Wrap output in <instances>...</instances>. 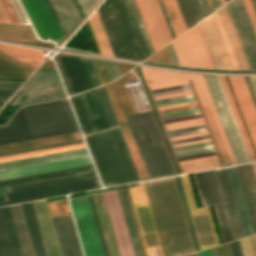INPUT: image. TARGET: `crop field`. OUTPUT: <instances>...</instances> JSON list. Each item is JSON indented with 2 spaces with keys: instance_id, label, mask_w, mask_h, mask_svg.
I'll list each match as a JSON object with an SVG mask.
<instances>
[{
  "instance_id": "obj_1",
  "label": "crop field",
  "mask_w": 256,
  "mask_h": 256,
  "mask_svg": "<svg viewBox=\"0 0 256 256\" xmlns=\"http://www.w3.org/2000/svg\"><path fill=\"white\" fill-rule=\"evenodd\" d=\"M138 69L146 87L191 79L222 163L236 164L202 75ZM191 81L146 88L180 174L223 166Z\"/></svg>"
},
{
  "instance_id": "obj_2",
  "label": "crop field",
  "mask_w": 256,
  "mask_h": 256,
  "mask_svg": "<svg viewBox=\"0 0 256 256\" xmlns=\"http://www.w3.org/2000/svg\"><path fill=\"white\" fill-rule=\"evenodd\" d=\"M166 256H181L193 252L190 235L177 193L174 178L144 182ZM143 182L130 187L129 193L136 218L151 217L152 211ZM147 256H165L154 218L139 219Z\"/></svg>"
},
{
  "instance_id": "obj_3",
  "label": "crop field",
  "mask_w": 256,
  "mask_h": 256,
  "mask_svg": "<svg viewBox=\"0 0 256 256\" xmlns=\"http://www.w3.org/2000/svg\"><path fill=\"white\" fill-rule=\"evenodd\" d=\"M77 131L67 100L26 106L0 126V145Z\"/></svg>"
},
{
  "instance_id": "obj_4",
  "label": "crop field",
  "mask_w": 256,
  "mask_h": 256,
  "mask_svg": "<svg viewBox=\"0 0 256 256\" xmlns=\"http://www.w3.org/2000/svg\"><path fill=\"white\" fill-rule=\"evenodd\" d=\"M86 137L106 187L140 181L119 127Z\"/></svg>"
},
{
  "instance_id": "obj_5",
  "label": "crop field",
  "mask_w": 256,
  "mask_h": 256,
  "mask_svg": "<svg viewBox=\"0 0 256 256\" xmlns=\"http://www.w3.org/2000/svg\"><path fill=\"white\" fill-rule=\"evenodd\" d=\"M125 118L148 178L177 174L153 112H145Z\"/></svg>"
},
{
  "instance_id": "obj_6",
  "label": "crop field",
  "mask_w": 256,
  "mask_h": 256,
  "mask_svg": "<svg viewBox=\"0 0 256 256\" xmlns=\"http://www.w3.org/2000/svg\"><path fill=\"white\" fill-rule=\"evenodd\" d=\"M203 76L205 78L236 163L239 164L250 161L218 77L214 75Z\"/></svg>"
},
{
  "instance_id": "obj_7",
  "label": "crop field",
  "mask_w": 256,
  "mask_h": 256,
  "mask_svg": "<svg viewBox=\"0 0 256 256\" xmlns=\"http://www.w3.org/2000/svg\"><path fill=\"white\" fill-rule=\"evenodd\" d=\"M97 177L3 194L0 206L100 188Z\"/></svg>"
},
{
  "instance_id": "obj_8",
  "label": "crop field",
  "mask_w": 256,
  "mask_h": 256,
  "mask_svg": "<svg viewBox=\"0 0 256 256\" xmlns=\"http://www.w3.org/2000/svg\"><path fill=\"white\" fill-rule=\"evenodd\" d=\"M61 82L56 69L40 71L23 89L21 94L9 105H22L58 98H64Z\"/></svg>"
},
{
  "instance_id": "obj_9",
  "label": "crop field",
  "mask_w": 256,
  "mask_h": 256,
  "mask_svg": "<svg viewBox=\"0 0 256 256\" xmlns=\"http://www.w3.org/2000/svg\"><path fill=\"white\" fill-rule=\"evenodd\" d=\"M69 199L85 256H103L87 196Z\"/></svg>"
},
{
  "instance_id": "obj_10",
  "label": "crop field",
  "mask_w": 256,
  "mask_h": 256,
  "mask_svg": "<svg viewBox=\"0 0 256 256\" xmlns=\"http://www.w3.org/2000/svg\"><path fill=\"white\" fill-rule=\"evenodd\" d=\"M180 177L189 209L197 207L188 176L183 175ZM189 211L197 237L199 249L201 250L218 245L219 243L211 219L209 208H195Z\"/></svg>"
},
{
  "instance_id": "obj_11",
  "label": "crop field",
  "mask_w": 256,
  "mask_h": 256,
  "mask_svg": "<svg viewBox=\"0 0 256 256\" xmlns=\"http://www.w3.org/2000/svg\"><path fill=\"white\" fill-rule=\"evenodd\" d=\"M251 70H256V35L242 0L226 4ZM226 8V9H227Z\"/></svg>"
},
{
  "instance_id": "obj_12",
  "label": "crop field",
  "mask_w": 256,
  "mask_h": 256,
  "mask_svg": "<svg viewBox=\"0 0 256 256\" xmlns=\"http://www.w3.org/2000/svg\"><path fill=\"white\" fill-rule=\"evenodd\" d=\"M181 65L212 68L196 26L172 42Z\"/></svg>"
},
{
  "instance_id": "obj_13",
  "label": "crop field",
  "mask_w": 256,
  "mask_h": 256,
  "mask_svg": "<svg viewBox=\"0 0 256 256\" xmlns=\"http://www.w3.org/2000/svg\"><path fill=\"white\" fill-rule=\"evenodd\" d=\"M37 35L43 40L63 39L43 0H19Z\"/></svg>"
},
{
  "instance_id": "obj_14",
  "label": "crop field",
  "mask_w": 256,
  "mask_h": 256,
  "mask_svg": "<svg viewBox=\"0 0 256 256\" xmlns=\"http://www.w3.org/2000/svg\"><path fill=\"white\" fill-rule=\"evenodd\" d=\"M62 56L76 94L101 85L92 59Z\"/></svg>"
},
{
  "instance_id": "obj_15",
  "label": "crop field",
  "mask_w": 256,
  "mask_h": 256,
  "mask_svg": "<svg viewBox=\"0 0 256 256\" xmlns=\"http://www.w3.org/2000/svg\"><path fill=\"white\" fill-rule=\"evenodd\" d=\"M256 149V111L242 77L227 76Z\"/></svg>"
},
{
  "instance_id": "obj_16",
  "label": "crop field",
  "mask_w": 256,
  "mask_h": 256,
  "mask_svg": "<svg viewBox=\"0 0 256 256\" xmlns=\"http://www.w3.org/2000/svg\"><path fill=\"white\" fill-rule=\"evenodd\" d=\"M51 219L62 256H82L72 217Z\"/></svg>"
},
{
  "instance_id": "obj_17",
  "label": "crop field",
  "mask_w": 256,
  "mask_h": 256,
  "mask_svg": "<svg viewBox=\"0 0 256 256\" xmlns=\"http://www.w3.org/2000/svg\"><path fill=\"white\" fill-rule=\"evenodd\" d=\"M90 157H81L64 161L40 164L35 166L17 168L12 170L0 171V180L22 177L27 175L39 174L44 172L56 171L61 169L73 168L78 166L90 165Z\"/></svg>"
},
{
  "instance_id": "obj_18",
  "label": "crop field",
  "mask_w": 256,
  "mask_h": 256,
  "mask_svg": "<svg viewBox=\"0 0 256 256\" xmlns=\"http://www.w3.org/2000/svg\"><path fill=\"white\" fill-rule=\"evenodd\" d=\"M63 38L81 19L72 0H44Z\"/></svg>"
},
{
  "instance_id": "obj_19",
  "label": "crop field",
  "mask_w": 256,
  "mask_h": 256,
  "mask_svg": "<svg viewBox=\"0 0 256 256\" xmlns=\"http://www.w3.org/2000/svg\"><path fill=\"white\" fill-rule=\"evenodd\" d=\"M219 170L220 171H217V175H218L219 183L221 186L226 209L228 212L229 220L231 223V227L233 230L234 238L236 239V238L244 237L245 236L244 231H243L242 224H241V221L239 218V214L237 211V207L235 204L231 186H230V183L228 180L226 169L222 168Z\"/></svg>"
},
{
  "instance_id": "obj_20",
  "label": "crop field",
  "mask_w": 256,
  "mask_h": 256,
  "mask_svg": "<svg viewBox=\"0 0 256 256\" xmlns=\"http://www.w3.org/2000/svg\"><path fill=\"white\" fill-rule=\"evenodd\" d=\"M159 48L172 41L156 0H141Z\"/></svg>"
},
{
  "instance_id": "obj_21",
  "label": "crop field",
  "mask_w": 256,
  "mask_h": 256,
  "mask_svg": "<svg viewBox=\"0 0 256 256\" xmlns=\"http://www.w3.org/2000/svg\"><path fill=\"white\" fill-rule=\"evenodd\" d=\"M48 256H61L46 201L33 202Z\"/></svg>"
},
{
  "instance_id": "obj_22",
  "label": "crop field",
  "mask_w": 256,
  "mask_h": 256,
  "mask_svg": "<svg viewBox=\"0 0 256 256\" xmlns=\"http://www.w3.org/2000/svg\"><path fill=\"white\" fill-rule=\"evenodd\" d=\"M41 61L37 59L0 57V76L27 78Z\"/></svg>"
},
{
  "instance_id": "obj_23",
  "label": "crop field",
  "mask_w": 256,
  "mask_h": 256,
  "mask_svg": "<svg viewBox=\"0 0 256 256\" xmlns=\"http://www.w3.org/2000/svg\"><path fill=\"white\" fill-rule=\"evenodd\" d=\"M87 155H89V154H88V151L86 148L72 150V151H66V152H61V153H55V154L20 159V160H15V161L3 162V163H0V170L12 169V168H17V167L35 165V164H40V163L64 160V159L87 156Z\"/></svg>"
},
{
  "instance_id": "obj_24",
  "label": "crop field",
  "mask_w": 256,
  "mask_h": 256,
  "mask_svg": "<svg viewBox=\"0 0 256 256\" xmlns=\"http://www.w3.org/2000/svg\"><path fill=\"white\" fill-rule=\"evenodd\" d=\"M35 256H47L33 203L20 204Z\"/></svg>"
},
{
  "instance_id": "obj_25",
  "label": "crop field",
  "mask_w": 256,
  "mask_h": 256,
  "mask_svg": "<svg viewBox=\"0 0 256 256\" xmlns=\"http://www.w3.org/2000/svg\"><path fill=\"white\" fill-rule=\"evenodd\" d=\"M80 139L82 138L79 132L71 133L66 135H60V136H54L49 138H43L38 140L0 146V153L38 147V146H44V145H50V144H56V143H62V142H68V141H74V140H80Z\"/></svg>"
},
{
  "instance_id": "obj_26",
  "label": "crop field",
  "mask_w": 256,
  "mask_h": 256,
  "mask_svg": "<svg viewBox=\"0 0 256 256\" xmlns=\"http://www.w3.org/2000/svg\"><path fill=\"white\" fill-rule=\"evenodd\" d=\"M84 171H86V173H87V172H93L95 170H94L93 166L90 165V166L78 167V168L61 170V171H56V172L44 173V174H39V175L27 176V177H22V178L0 181V187L21 184V183H27V182H33V181H39V180H45V179H51V178H57V177H63V176H69V175H75V174H81V173H84Z\"/></svg>"
},
{
  "instance_id": "obj_27",
  "label": "crop field",
  "mask_w": 256,
  "mask_h": 256,
  "mask_svg": "<svg viewBox=\"0 0 256 256\" xmlns=\"http://www.w3.org/2000/svg\"><path fill=\"white\" fill-rule=\"evenodd\" d=\"M226 169H227L229 180H230V183H231V186H232V190H233V193H234V197H235V200H236V204H237V207H238L240 218H241V221H242V224H243L245 235L246 236L252 235L253 233H252L251 225H250L249 218H248V215H247V211H246V207H245V204H244V200H243V196H242V193H241L238 178H237V175H236L235 167L232 166V167H228Z\"/></svg>"
},
{
  "instance_id": "obj_28",
  "label": "crop field",
  "mask_w": 256,
  "mask_h": 256,
  "mask_svg": "<svg viewBox=\"0 0 256 256\" xmlns=\"http://www.w3.org/2000/svg\"><path fill=\"white\" fill-rule=\"evenodd\" d=\"M9 207L17 233L19 245L21 248L22 256H33L20 205H11Z\"/></svg>"
},
{
  "instance_id": "obj_29",
  "label": "crop field",
  "mask_w": 256,
  "mask_h": 256,
  "mask_svg": "<svg viewBox=\"0 0 256 256\" xmlns=\"http://www.w3.org/2000/svg\"><path fill=\"white\" fill-rule=\"evenodd\" d=\"M186 29L204 18L198 0H176Z\"/></svg>"
},
{
  "instance_id": "obj_30",
  "label": "crop field",
  "mask_w": 256,
  "mask_h": 256,
  "mask_svg": "<svg viewBox=\"0 0 256 256\" xmlns=\"http://www.w3.org/2000/svg\"><path fill=\"white\" fill-rule=\"evenodd\" d=\"M218 77L220 79L221 85L223 87V90L225 92L226 98H227L228 103L230 105L231 111H232L233 116L235 118L236 124L238 126V129H239V132H240L241 137L243 139L246 150L248 152L249 158H250L251 161H254V160H256L254 151H253L252 146L250 144V141L248 139L247 133H246L245 128L243 126V123L241 121L240 115H239L238 110L236 108V105L234 103V100H233V97H232L231 92L229 90V87L227 85L226 79H225L224 76H218Z\"/></svg>"
},
{
  "instance_id": "obj_31",
  "label": "crop field",
  "mask_w": 256,
  "mask_h": 256,
  "mask_svg": "<svg viewBox=\"0 0 256 256\" xmlns=\"http://www.w3.org/2000/svg\"><path fill=\"white\" fill-rule=\"evenodd\" d=\"M71 99L73 101V104L75 106V109L77 111L78 117L80 119L85 134L87 135L90 133L97 132L98 130L96 128L95 122L91 115L84 94L82 93L80 95L74 96Z\"/></svg>"
},
{
  "instance_id": "obj_32",
  "label": "crop field",
  "mask_w": 256,
  "mask_h": 256,
  "mask_svg": "<svg viewBox=\"0 0 256 256\" xmlns=\"http://www.w3.org/2000/svg\"><path fill=\"white\" fill-rule=\"evenodd\" d=\"M88 21L94 34L100 53L103 55L114 57L97 11L93 13V15L88 19Z\"/></svg>"
},
{
  "instance_id": "obj_33",
  "label": "crop field",
  "mask_w": 256,
  "mask_h": 256,
  "mask_svg": "<svg viewBox=\"0 0 256 256\" xmlns=\"http://www.w3.org/2000/svg\"><path fill=\"white\" fill-rule=\"evenodd\" d=\"M84 94L86 96V99L91 109L93 117L94 115H97L96 117H94V120L96 122L98 130L101 131V130L109 129L110 127L108 125L107 119L105 117V114L102 109L96 90L94 89V90L85 92Z\"/></svg>"
},
{
  "instance_id": "obj_34",
  "label": "crop field",
  "mask_w": 256,
  "mask_h": 256,
  "mask_svg": "<svg viewBox=\"0 0 256 256\" xmlns=\"http://www.w3.org/2000/svg\"><path fill=\"white\" fill-rule=\"evenodd\" d=\"M235 167H236L237 175H238L239 182L241 185V189H242V193L244 196V200H245V204L247 207L250 222L252 225L253 233L256 234V213H255L252 199L250 196V192H249L246 177L244 174L243 166L239 165V166H235Z\"/></svg>"
},
{
  "instance_id": "obj_35",
  "label": "crop field",
  "mask_w": 256,
  "mask_h": 256,
  "mask_svg": "<svg viewBox=\"0 0 256 256\" xmlns=\"http://www.w3.org/2000/svg\"><path fill=\"white\" fill-rule=\"evenodd\" d=\"M95 176H97V175H96L95 172H93V173L63 177V178H58V179L28 183V184H23V185L11 186V187H7V188H8V191L11 192V191H16V190L28 189V188H33V187L56 184V183L67 182V181L78 180V179H84V178L95 177Z\"/></svg>"
},
{
  "instance_id": "obj_36",
  "label": "crop field",
  "mask_w": 256,
  "mask_h": 256,
  "mask_svg": "<svg viewBox=\"0 0 256 256\" xmlns=\"http://www.w3.org/2000/svg\"><path fill=\"white\" fill-rule=\"evenodd\" d=\"M205 173H206L208 185H209V188H210V192H211L214 208H215V211H216L218 223H219V226H220L223 242L225 243V242H228L229 240H228L226 228H225V225H224L222 213H221V210H220L219 202H218V199H217L215 187H214V184H213L211 172L207 171Z\"/></svg>"
},
{
  "instance_id": "obj_37",
  "label": "crop field",
  "mask_w": 256,
  "mask_h": 256,
  "mask_svg": "<svg viewBox=\"0 0 256 256\" xmlns=\"http://www.w3.org/2000/svg\"><path fill=\"white\" fill-rule=\"evenodd\" d=\"M0 56L43 59L42 54L39 52L13 47L5 44H0Z\"/></svg>"
},
{
  "instance_id": "obj_38",
  "label": "crop field",
  "mask_w": 256,
  "mask_h": 256,
  "mask_svg": "<svg viewBox=\"0 0 256 256\" xmlns=\"http://www.w3.org/2000/svg\"><path fill=\"white\" fill-rule=\"evenodd\" d=\"M82 147H85L84 143L70 145V146H64V147H58V148H52V149H46V150H40V151H34V152H28V153H22V154L11 155V156H5V157H0V162L19 159V158H25V157H31V156H36V155L48 154V153H53V152L65 151V150H70V149L82 148Z\"/></svg>"
},
{
  "instance_id": "obj_39",
  "label": "crop field",
  "mask_w": 256,
  "mask_h": 256,
  "mask_svg": "<svg viewBox=\"0 0 256 256\" xmlns=\"http://www.w3.org/2000/svg\"><path fill=\"white\" fill-rule=\"evenodd\" d=\"M174 178H175V182H176V185H177V189H178V193H179V196H180V200H181V203H182V207H183V210H184V214H185V218H186V221H187V225H188V228H189V232H190V235H191V239H192V243H193V246H194V250L197 251L199 249H198L196 237H195V234H194L193 226H192V223H191L189 211H188V208H187L185 196H184V193H183L180 177L176 176Z\"/></svg>"
},
{
  "instance_id": "obj_40",
  "label": "crop field",
  "mask_w": 256,
  "mask_h": 256,
  "mask_svg": "<svg viewBox=\"0 0 256 256\" xmlns=\"http://www.w3.org/2000/svg\"><path fill=\"white\" fill-rule=\"evenodd\" d=\"M96 90L98 92L99 98L101 100V103L104 108L110 127L112 128V127L118 126L119 124L117 122V119L115 117V114L113 112V109L111 107V104L109 102V99L107 97L104 87L103 86L99 87Z\"/></svg>"
},
{
  "instance_id": "obj_41",
  "label": "crop field",
  "mask_w": 256,
  "mask_h": 256,
  "mask_svg": "<svg viewBox=\"0 0 256 256\" xmlns=\"http://www.w3.org/2000/svg\"><path fill=\"white\" fill-rule=\"evenodd\" d=\"M117 191H118V195H119V198H120L123 213H124V216H125L128 231H129V234H130L133 249H134V252H135V256H140L138 246H137V242H136L135 235H134V231H133V228H132L130 216H129V213H128L127 205H126V202H125L123 190L118 189Z\"/></svg>"
},
{
  "instance_id": "obj_42",
  "label": "crop field",
  "mask_w": 256,
  "mask_h": 256,
  "mask_svg": "<svg viewBox=\"0 0 256 256\" xmlns=\"http://www.w3.org/2000/svg\"><path fill=\"white\" fill-rule=\"evenodd\" d=\"M195 175V179L198 185V189L200 192V196L203 202V206H211L212 204V200H211V196H210V192L208 189V185H207V181H206V177H205V173H196Z\"/></svg>"
},
{
  "instance_id": "obj_43",
  "label": "crop field",
  "mask_w": 256,
  "mask_h": 256,
  "mask_svg": "<svg viewBox=\"0 0 256 256\" xmlns=\"http://www.w3.org/2000/svg\"><path fill=\"white\" fill-rule=\"evenodd\" d=\"M176 36L184 32L172 0H163Z\"/></svg>"
},
{
  "instance_id": "obj_44",
  "label": "crop field",
  "mask_w": 256,
  "mask_h": 256,
  "mask_svg": "<svg viewBox=\"0 0 256 256\" xmlns=\"http://www.w3.org/2000/svg\"><path fill=\"white\" fill-rule=\"evenodd\" d=\"M211 172H212V176H213L214 183H215V186H216V190H217V194H218L219 201H220V204H221V208H222V211H223V215H224V218H225V222H226V226H227L228 233H229V236H230V240L232 241V240H234V238H233V234H232V231H231V227H230V223H229V220H228V216H227V213H226V209H225V206H224V202H223V198H222V195H221V191H220V188H219V184H218V180H217V177H216V173H215V170H213Z\"/></svg>"
},
{
  "instance_id": "obj_45",
  "label": "crop field",
  "mask_w": 256,
  "mask_h": 256,
  "mask_svg": "<svg viewBox=\"0 0 256 256\" xmlns=\"http://www.w3.org/2000/svg\"><path fill=\"white\" fill-rule=\"evenodd\" d=\"M135 2H136V5H137V7H138L139 13H140V15H141L142 21H143V23L145 24V27H146V30H147V32H148V35H149V38H150V40H151L152 46H153V48H154V51H157V50H159V48H158V46H157V43H156L155 38H154V36H153V33H152V31H151L150 25H149V23H148V20H147V18H146V15H145V13H144V10H143V8H142V5H141V3H140V0H135Z\"/></svg>"
},
{
  "instance_id": "obj_46",
  "label": "crop field",
  "mask_w": 256,
  "mask_h": 256,
  "mask_svg": "<svg viewBox=\"0 0 256 256\" xmlns=\"http://www.w3.org/2000/svg\"><path fill=\"white\" fill-rule=\"evenodd\" d=\"M22 83L0 81V95L10 96Z\"/></svg>"
},
{
  "instance_id": "obj_47",
  "label": "crop field",
  "mask_w": 256,
  "mask_h": 256,
  "mask_svg": "<svg viewBox=\"0 0 256 256\" xmlns=\"http://www.w3.org/2000/svg\"><path fill=\"white\" fill-rule=\"evenodd\" d=\"M103 61L105 63V66L107 68V71H108L112 81L117 79L119 76H121L116 62L107 61V60H103Z\"/></svg>"
},
{
  "instance_id": "obj_48",
  "label": "crop field",
  "mask_w": 256,
  "mask_h": 256,
  "mask_svg": "<svg viewBox=\"0 0 256 256\" xmlns=\"http://www.w3.org/2000/svg\"><path fill=\"white\" fill-rule=\"evenodd\" d=\"M56 57H57V60H58V62H59L61 71H62L63 76H64V79H65V81H66L68 90H69V92H70V95L72 96V95H74L75 93H74L73 87H72V85H71V82H70V79H69V76H68L66 67H65V65H64L62 56L59 55V54H57Z\"/></svg>"
},
{
  "instance_id": "obj_49",
  "label": "crop field",
  "mask_w": 256,
  "mask_h": 256,
  "mask_svg": "<svg viewBox=\"0 0 256 256\" xmlns=\"http://www.w3.org/2000/svg\"><path fill=\"white\" fill-rule=\"evenodd\" d=\"M0 3L4 9V11L6 12L10 22H16L19 23L10 3L8 0H0Z\"/></svg>"
},
{
  "instance_id": "obj_50",
  "label": "crop field",
  "mask_w": 256,
  "mask_h": 256,
  "mask_svg": "<svg viewBox=\"0 0 256 256\" xmlns=\"http://www.w3.org/2000/svg\"><path fill=\"white\" fill-rule=\"evenodd\" d=\"M82 142H83V140L68 142V143H62V144H56V145H50V146H44V147H38V148H32V149H26V150H21V151L3 153V154H0V156L17 154V153H22V152L34 151V150H40V149H46V148H52V147H58V146H64V145H70V144H76V143H82Z\"/></svg>"
},
{
  "instance_id": "obj_51",
  "label": "crop field",
  "mask_w": 256,
  "mask_h": 256,
  "mask_svg": "<svg viewBox=\"0 0 256 256\" xmlns=\"http://www.w3.org/2000/svg\"><path fill=\"white\" fill-rule=\"evenodd\" d=\"M243 1H244V4L246 6V9L248 11L251 22H252L253 27H254L255 32H256V15H255L254 9L252 7L251 1L250 0H243Z\"/></svg>"
},
{
  "instance_id": "obj_52",
  "label": "crop field",
  "mask_w": 256,
  "mask_h": 256,
  "mask_svg": "<svg viewBox=\"0 0 256 256\" xmlns=\"http://www.w3.org/2000/svg\"><path fill=\"white\" fill-rule=\"evenodd\" d=\"M158 3H159V6H160V8H161V11H162V13H163L164 19H165L166 24H167V26H168V29H169V31H170L171 37H172V39H175L176 36H175V34H174L173 28H172L171 23H170V21H169V18H168V15H167V13H166V10H165V7H164V5H163L162 0H158Z\"/></svg>"
},
{
  "instance_id": "obj_53",
  "label": "crop field",
  "mask_w": 256,
  "mask_h": 256,
  "mask_svg": "<svg viewBox=\"0 0 256 256\" xmlns=\"http://www.w3.org/2000/svg\"><path fill=\"white\" fill-rule=\"evenodd\" d=\"M97 0H79L85 14L88 12V10L94 5V3ZM96 4V3H95Z\"/></svg>"
},
{
  "instance_id": "obj_54",
  "label": "crop field",
  "mask_w": 256,
  "mask_h": 256,
  "mask_svg": "<svg viewBox=\"0 0 256 256\" xmlns=\"http://www.w3.org/2000/svg\"><path fill=\"white\" fill-rule=\"evenodd\" d=\"M199 3H200V6L202 8L204 16H207L209 13H211L206 0H199Z\"/></svg>"
},
{
  "instance_id": "obj_55",
  "label": "crop field",
  "mask_w": 256,
  "mask_h": 256,
  "mask_svg": "<svg viewBox=\"0 0 256 256\" xmlns=\"http://www.w3.org/2000/svg\"><path fill=\"white\" fill-rule=\"evenodd\" d=\"M247 165H248V169H249V172H250L251 180H252L253 187H254L255 194H256V179H255V176H254L252 164L249 163V164H247Z\"/></svg>"
},
{
  "instance_id": "obj_56",
  "label": "crop field",
  "mask_w": 256,
  "mask_h": 256,
  "mask_svg": "<svg viewBox=\"0 0 256 256\" xmlns=\"http://www.w3.org/2000/svg\"><path fill=\"white\" fill-rule=\"evenodd\" d=\"M233 247H234V250H235V254L236 256H242V252H241V249H240V245H239V241H233Z\"/></svg>"
},
{
  "instance_id": "obj_57",
  "label": "crop field",
  "mask_w": 256,
  "mask_h": 256,
  "mask_svg": "<svg viewBox=\"0 0 256 256\" xmlns=\"http://www.w3.org/2000/svg\"><path fill=\"white\" fill-rule=\"evenodd\" d=\"M197 254H198V256H213L211 248L207 249L205 251H202V252H198Z\"/></svg>"
},
{
  "instance_id": "obj_58",
  "label": "crop field",
  "mask_w": 256,
  "mask_h": 256,
  "mask_svg": "<svg viewBox=\"0 0 256 256\" xmlns=\"http://www.w3.org/2000/svg\"><path fill=\"white\" fill-rule=\"evenodd\" d=\"M0 21H3V22H9L5 12L3 11L1 5H0Z\"/></svg>"
},
{
  "instance_id": "obj_59",
  "label": "crop field",
  "mask_w": 256,
  "mask_h": 256,
  "mask_svg": "<svg viewBox=\"0 0 256 256\" xmlns=\"http://www.w3.org/2000/svg\"><path fill=\"white\" fill-rule=\"evenodd\" d=\"M251 83V86L253 88V91L255 93L256 96V77H248Z\"/></svg>"
},
{
  "instance_id": "obj_60",
  "label": "crop field",
  "mask_w": 256,
  "mask_h": 256,
  "mask_svg": "<svg viewBox=\"0 0 256 256\" xmlns=\"http://www.w3.org/2000/svg\"><path fill=\"white\" fill-rule=\"evenodd\" d=\"M223 250H224V253H225V256H232L231 255V252H230V248H229V244H223Z\"/></svg>"
},
{
  "instance_id": "obj_61",
  "label": "crop field",
  "mask_w": 256,
  "mask_h": 256,
  "mask_svg": "<svg viewBox=\"0 0 256 256\" xmlns=\"http://www.w3.org/2000/svg\"><path fill=\"white\" fill-rule=\"evenodd\" d=\"M123 190H124V188H123ZM124 194H125V198H126V201H127V197H126V193H125V190H124ZM127 205H128L129 213H130V216H131V212H130V208H129V204H128V201H127ZM131 220H132V224H133V227H134V223H133V219H132V216H131ZM134 231H135V227H134ZM135 235H136V231H135ZM136 239H137V242H138V238H137V235H136ZM138 246H139V242H138ZM139 250H140V246H139ZM140 253H141V250H140ZM141 256H142V253H141Z\"/></svg>"
},
{
  "instance_id": "obj_62",
  "label": "crop field",
  "mask_w": 256,
  "mask_h": 256,
  "mask_svg": "<svg viewBox=\"0 0 256 256\" xmlns=\"http://www.w3.org/2000/svg\"><path fill=\"white\" fill-rule=\"evenodd\" d=\"M249 238H250V242H251V245H252L254 256H256V244H255V241H254V237L251 236Z\"/></svg>"
},
{
  "instance_id": "obj_63",
  "label": "crop field",
  "mask_w": 256,
  "mask_h": 256,
  "mask_svg": "<svg viewBox=\"0 0 256 256\" xmlns=\"http://www.w3.org/2000/svg\"><path fill=\"white\" fill-rule=\"evenodd\" d=\"M211 3L213 5L214 10H216L217 8H219L221 6L219 0H211Z\"/></svg>"
},
{
  "instance_id": "obj_64",
  "label": "crop field",
  "mask_w": 256,
  "mask_h": 256,
  "mask_svg": "<svg viewBox=\"0 0 256 256\" xmlns=\"http://www.w3.org/2000/svg\"><path fill=\"white\" fill-rule=\"evenodd\" d=\"M8 97H1L0 96V107L4 104Z\"/></svg>"
},
{
  "instance_id": "obj_65",
  "label": "crop field",
  "mask_w": 256,
  "mask_h": 256,
  "mask_svg": "<svg viewBox=\"0 0 256 256\" xmlns=\"http://www.w3.org/2000/svg\"><path fill=\"white\" fill-rule=\"evenodd\" d=\"M212 249H213L214 256H219L218 248L214 247Z\"/></svg>"
},
{
  "instance_id": "obj_66",
  "label": "crop field",
  "mask_w": 256,
  "mask_h": 256,
  "mask_svg": "<svg viewBox=\"0 0 256 256\" xmlns=\"http://www.w3.org/2000/svg\"><path fill=\"white\" fill-rule=\"evenodd\" d=\"M173 1H174L175 6H176L175 0H173ZM176 9H177V12H178V14H179L180 20H181V22H182L183 28H184V30L186 31V29H185V27H184V24H183V21H182V19H181L180 13H179V11H178L177 6H176Z\"/></svg>"
},
{
  "instance_id": "obj_67",
  "label": "crop field",
  "mask_w": 256,
  "mask_h": 256,
  "mask_svg": "<svg viewBox=\"0 0 256 256\" xmlns=\"http://www.w3.org/2000/svg\"><path fill=\"white\" fill-rule=\"evenodd\" d=\"M5 192H8L6 187L5 188H0V193H5Z\"/></svg>"
},
{
  "instance_id": "obj_68",
  "label": "crop field",
  "mask_w": 256,
  "mask_h": 256,
  "mask_svg": "<svg viewBox=\"0 0 256 256\" xmlns=\"http://www.w3.org/2000/svg\"><path fill=\"white\" fill-rule=\"evenodd\" d=\"M251 1H252L253 6H254V9L256 11V0H251Z\"/></svg>"
},
{
  "instance_id": "obj_69",
  "label": "crop field",
  "mask_w": 256,
  "mask_h": 256,
  "mask_svg": "<svg viewBox=\"0 0 256 256\" xmlns=\"http://www.w3.org/2000/svg\"><path fill=\"white\" fill-rule=\"evenodd\" d=\"M229 244H230V248H231V251H232V255L235 256L234 250H233V247H232V243L230 242Z\"/></svg>"
},
{
  "instance_id": "obj_70",
  "label": "crop field",
  "mask_w": 256,
  "mask_h": 256,
  "mask_svg": "<svg viewBox=\"0 0 256 256\" xmlns=\"http://www.w3.org/2000/svg\"><path fill=\"white\" fill-rule=\"evenodd\" d=\"M253 164V168H254V171H255V175H256V162L252 163Z\"/></svg>"
},
{
  "instance_id": "obj_71",
  "label": "crop field",
  "mask_w": 256,
  "mask_h": 256,
  "mask_svg": "<svg viewBox=\"0 0 256 256\" xmlns=\"http://www.w3.org/2000/svg\"><path fill=\"white\" fill-rule=\"evenodd\" d=\"M187 256H197V254L195 253V254H191V255H187Z\"/></svg>"
},
{
  "instance_id": "obj_72",
  "label": "crop field",
  "mask_w": 256,
  "mask_h": 256,
  "mask_svg": "<svg viewBox=\"0 0 256 256\" xmlns=\"http://www.w3.org/2000/svg\"><path fill=\"white\" fill-rule=\"evenodd\" d=\"M220 1H221V4H222V5L225 4L224 0H220Z\"/></svg>"
},
{
  "instance_id": "obj_73",
  "label": "crop field",
  "mask_w": 256,
  "mask_h": 256,
  "mask_svg": "<svg viewBox=\"0 0 256 256\" xmlns=\"http://www.w3.org/2000/svg\"><path fill=\"white\" fill-rule=\"evenodd\" d=\"M254 237H255V241H256V235Z\"/></svg>"
},
{
  "instance_id": "obj_74",
  "label": "crop field",
  "mask_w": 256,
  "mask_h": 256,
  "mask_svg": "<svg viewBox=\"0 0 256 256\" xmlns=\"http://www.w3.org/2000/svg\"><path fill=\"white\" fill-rule=\"evenodd\" d=\"M227 1H229V0H225V2H227Z\"/></svg>"
}]
</instances>
